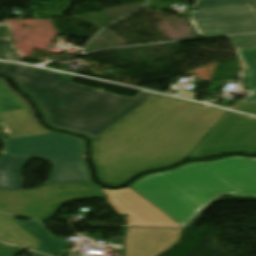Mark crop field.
Segmentation results:
<instances>
[{"label":"crop field","instance_id":"8","mask_svg":"<svg viewBox=\"0 0 256 256\" xmlns=\"http://www.w3.org/2000/svg\"><path fill=\"white\" fill-rule=\"evenodd\" d=\"M102 190L107 196V201L119 215L128 214L127 226L180 227L129 187L120 190L104 188Z\"/></svg>","mask_w":256,"mask_h":256},{"label":"crop field","instance_id":"10","mask_svg":"<svg viewBox=\"0 0 256 256\" xmlns=\"http://www.w3.org/2000/svg\"><path fill=\"white\" fill-rule=\"evenodd\" d=\"M183 229L129 228L126 256H160L179 243Z\"/></svg>","mask_w":256,"mask_h":256},{"label":"crop field","instance_id":"13","mask_svg":"<svg viewBox=\"0 0 256 256\" xmlns=\"http://www.w3.org/2000/svg\"><path fill=\"white\" fill-rule=\"evenodd\" d=\"M247 67L244 76L248 90H256V49L237 51Z\"/></svg>","mask_w":256,"mask_h":256},{"label":"crop field","instance_id":"12","mask_svg":"<svg viewBox=\"0 0 256 256\" xmlns=\"http://www.w3.org/2000/svg\"><path fill=\"white\" fill-rule=\"evenodd\" d=\"M0 241L36 251L38 241L18 226L14 217L0 213Z\"/></svg>","mask_w":256,"mask_h":256},{"label":"crop field","instance_id":"19","mask_svg":"<svg viewBox=\"0 0 256 256\" xmlns=\"http://www.w3.org/2000/svg\"><path fill=\"white\" fill-rule=\"evenodd\" d=\"M249 92H251L250 96L247 99L243 100V101H245V102H256V91H249Z\"/></svg>","mask_w":256,"mask_h":256},{"label":"crop field","instance_id":"9","mask_svg":"<svg viewBox=\"0 0 256 256\" xmlns=\"http://www.w3.org/2000/svg\"><path fill=\"white\" fill-rule=\"evenodd\" d=\"M0 128L9 138L50 133L31 117L28 106L0 79Z\"/></svg>","mask_w":256,"mask_h":256},{"label":"crop field","instance_id":"21","mask_svg":"<svg viewBox=\"0 0 256 256\" xmlns=\"http://www.w3.org/2000/svg\"><path fill=\"white\" fill-rule=\"evenodd\" d=\"M254 4V6L256 7V0H251Z\"/></svg>","mask_w":256,"mask_h":256},{"label":"crop field","instance_id":"18","mask_svg":"<svg viewBox=\"0 0 256 256\" xmlns=\"http://www.w3.org/2000/svg\"><path fill=\"white\" fill-rule=\"evenodd\" d=\"M195 94H196V91L191 90V91H181L178 95L194 99L195 98Z\"/></svg>","mask_w":256,"mask_h":256},{"label":"crop field","instance_id":"4","mask_svg":"<svg viewBox=\"0 0 256 256\" xmlns=\"http://www.w3.org/2000/svg\"><path fill=\"white\" fill-rule=\"evenodd\" d=\"M31 158L53 164L46 184L93 183L84 162L83 139L52 132L5 140L0 156V190H23L22 172Z\"/></svg>","mask_w":256,"mask_h":256},{"label":"crop field","instance_id":"22","mask_svg":"<svg viewBox=\"0 0 256 256\" xmlns=\"http://www.w3.org/2000/svg\"><path fill=\"white\" fill-rule=\"evenodd\" d=\"M15 80H16V79H15ZM15 80H14V81H15ZM16 82L20 85V82H19L18 80H16Z\"/></svg>","mask_w":256,"mask_h":256},{"label":"crop field","instance_id":"14","mask_svg":"<svg viewBox=\"0 0 256 256\" xmlns=\"http://www.w3.org/2000/svg\"><path fill=\"white\" fill-rule=\"evenodd\" d=\"M9 27L0 23V59L19 61L20 55L16 52L9 36Z\"/></svg>","mask_w":256,"mask_h":256},{"label":"crop field","instance_id":"3","mask_svg":"<svg viewBox=\"0 0 256 256\" xmlns=\"http://www.w3.org/2000/svg\"><path fill=\"white\" fill-rule=\"evenodd\" d=\"M129 187L183 227L221 193L256 196V159L189 163Z\"/></svg>","mask_w":256,"mask_h":256},{"label":"crop field","instance_id":"16","mask_svg":"<svg viewBox=\"0 0 256 256\" xmlns=\"http://www.w3.org/2000/svg\"><path fill=\"white\" fill-rule=\"evenodd\" d=\"M232 110L256 115V103H235Z\"/></svg>","mask_w":256,"mask_h":256},{"label":"crop field","instance_id":"7","mask_svg":"<svg viewBox=\"0 0 256 256\" xmlns=\"http://www.w3.org/2000/svg\"><path fill=\"white\" fill-rule=\"evenodd\" d=\"M224 152L256 153V118L228 112L186 158Z\"/></svg>","mask_w":256,"mask_h":256},{"label":"crop field","instance_id":"17","mask_svg":"<svg viewBox=\"0 0 256 256\" xmlns=\"http://www.w3.org/2000/svg\"><path fill=\"white\" fill-rule=\"evenodd\" d=\"M19 253L20 251L16 247L0 243V256H13Z\"/></svg>","mask_w":256,"mask_h":256},{"label":"crop field","instance_id":"15","mask_svg":"<svg viewBox=\"0 0 256 256\" xmlns=\"http://www.w3.org/2000/svg\"><path fill=\"white\" fill-rule=\"evenodd\" d=\"M236 50L256 48V35L230 37Z\"/></svg>","mask_w":256,"mask_h":256},{"label":"crop field","instance_id":"20","mask_svg":"<svg viewBox=\"0 0 256 256\" xmlns=\"http://www.w3.org/2000/svg\"><path fill=\"white\" fill-rule=\"evenodd\" d=\"M30 253H31L32 256H45V255L34 253V252H31V251H30Z\"/></svg>","mask_w":256,"mask_h":256},{"label":"crop field","instance_id":"5","mask_svg":"<svg viewBox=\"0 0 256 256\" xmlns=\"http://www.w3.org/2000/svg\"><path fill=\"white\" fill-rule=\"evenodd\" d=\"M80 198L106 197L95 184L53 185L32 191H0V211L47 221L61 203Z\"/></svg>","mask_w":256,"mask_h":256},{"label":"crop field","instance_id":"1","mask_svg":"<svg viewBox=\"0 0 256 256\" xmlns=\"http://www.w3.org/2000/svg\"><path fill=\"white\" fill-rule=\"evenodd\" d=\"M227 112L152 95L91 142L100 179L118 184L138 171L183 159Z\"/></svg>","mask_w":256,"mask_h":256},{"label":"crop field","instance_id":"11","mask_svg":"<svg viewBox=\"0 0 256 256\" xmlns=\"http://www.w3.org/2000/svg\"><path fill=\"white\" fill-rule=\"evenodd\" d=\"M17 223L40 240L38 251L52 256H66L69 253L63 251L65 240L56 239L41 222L17 220Z\"/></svg>","mask_w":256,"mask_h":256},{"label":"crop field","instance_id":"2","mask_svg":"<svg viewBox=\"0 0 256 256\" xmlns=\"http://www.w3.org/2000/svg\"><path fill=\"white\" fill-rule=\"evenodd\" d=\"M0 73L22 82V90L34 99L49 125L91 139L152 95L142 91L134 98L121 97L72 83L73 76L5 63H0Z\"/></svg>","mask_w":256,"mask_h":256},{"label":"crop field","instance_id":"6","mask_svg":"<svg viewBox=\"0 0 256 256\" xmlns=\"http://www.w3.org/2000/svg\"><path fill=\"white\" fill-rule=\"evenodd\" d=\"M184 12H191V23L204 37L256 32V12L249 0H197Z\"/></svg>","mask_w":256,"mask_h":256}]
</instances>
